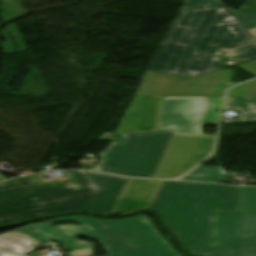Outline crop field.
<instances>
[{"mask_svg":"<svg viewBox=\"0 0 256 256\" xmlns=\"http://www.w3.org/2000/svg\"><path fill=\"white\" fill-rule=\"evenodd\" d=\"M218 40L225 49L255 38L223 5L179 10L148 70L182 77L197 76L229 67L203 42Z\"/></svg>","mask_w":256,"mask_h":256,"instance_id":"obj_1","label":"crop field"},{"mask_svg":"<svg viewBox=\"0 0 256 256\" xmlns=\"http://www.w3.org/2000/svg\"><path fill=\"white\" fill-rule=\"evenodd\" d=\"M240 186L164 181L149 210L177 239L212 237L214 210L236 211Z\"/></svg>","mask_w":256,"mask_h":256,"instance_id":"obj_2","label":"crop field"},{"mask_svg":"<svg viewBox=\"0 0 256 256\" xmlns=\"http://www.w3.org/2000/svg\"><path fill=\"white\" fill-rule=\"evenodd\" d=\"M57 221L86 224L93 232L80 226H55ZM42 242L68 236L98 239L107 250L106 256H179L160 237L145 215L118 220H102L88 216L53 219L15 230Z\"/></svg>","mask_w":256,"mask_h":256,"instance_id":"obj_3","label":"crop field"},{"mask_svg":"<svg viewBox=\"0 0 256 256\" xmlns=\"http://www.w3.org/2000/svg\"><path fill=\"white\" fill-rule=\"evenodd\" d=\"M76 186L36 185L27 177L0 183V222L11 223L58 213L87 211L101 190L78 171H62Z\"/></svg>","mask_w":256,"mask_h":256,"instance_id":"obj_4","label":"crop field"},{"mask_svg":"<svg viewBox=\"0 0 256 256\" xmlns=\"http://www.w3.org/2000/svg\"><path fill=\"white\" fill-rule=\"evenodd\" d=\"M179 241L196 256H256V187L241 186L237 212L215 211L213 238Z\"/></svg>","mask_w":256,"mask_h":256,"instance_id":"obj_5","label":"crop field"},{"mask_svg":"<svg viewBox=\"0 0 256 256\" xmlns=\"http://www.w3.org/2000/svg\"><path fill=\"white\" fill-rule=\"evenodd\" d=\"M172 132L124 135L123 143H110L95 170L152 178Z\"/></svg>","mask_w":256,"mask_h":256,"instance_id":"obj_6","label":"crop field"},{"mask_svg":"<svg viewBox=\"0 0 256 256\" xmlns=\"http://www.w3.org/2000/svg\"><path fill=\"white\" fill-rule=\"evenodd\" d=\"M222 99L165 98L161 102L158 130L174 129V134L214 138L215 135L201 134V125L217 124Z\"/></svg>","mask_w":256,"mask_h":256,"instance_id":"obj_7","label":"crop field"},{"mask_svg":"<svg viewBox=\"0 0 256 256\" xmlns=\"http://www.w3.org/2000/svg\"><path fill=\"white\" fill-rule=\"evenodd\" d=\"M233 70H219L185 79L179 76L147 71L137 91L162 97L223 96Z\"/></svg>","mask_w":256,"mask_h":256,"instance_id":"obj_8","label":"crop field"},{"mask_svg":"<svg viewBox=\"0 0 256 256\" xmlns=\"http://www.w3.org/2000/svg\"><path fill=\"white\" fill-rule=\"evenodd\" d=\"M214 139L174 135L153 178L172 179L196 166L213 150Z\"/></svg>","mask_w":256,"mask_h":256,"instance_id":"obj_9","label":"crop field"},{"mask_svg":"<svg viewBox=\"0 0 256 256\" xmlns=\"http://www.w3.org/2000/svg\"><path fill=\"white\" fill-rule=\"evenodd\" d=\"M163 98L135 92L116 133L157 131L160 102Z\"/></svg>","mask_w":256,"mask_h":256,"instance_id":"obj_10","label":"crop field"},{"mask_svg":"<svg viewBox=\"0 0 256 256\" xmlns=\"http://www.w3.org/2000/svg\"><path fill=\"white\" fill-rule=\"evenodd\" d=\"M163 181L128 179L111 213H129L148 209Z\"/></svg>","mask_w":256,"mask_h":256,"instance_id":"obj_11","label":"crop field"},{"mask_svg":"<svg viewBox=\"0 0 256 256\" xmlns=\"http://www.w3.org/2000/svg\"><path fill=\"white\" fill-rule=\"evenodd\" d=\"M79 172H81L97 187L103 190L92 204V206L89 208L88 212L108 215L113 208L126 179L113 175L93 173L88 171Z\"/></svg>","mask_w":256,"mask_h":256,"instance_id":"obj_12","label":"crop field"},{"mask_svg":"<svg viewBox=\"0 0 256 256\" xmlns=\"http://www.w3.org/2000/svg\"><path fill=\"white\" fill-rule=\"evenodd\" d=\"M44 243L17 233L15 231L0 235V248L19 254H27L41 246Z\"/></svg>","mask_w":256,"mask_h":256,"instance_id":"obj_13","label":"crop field"},{"mask_svg":"<svg viewBox=\"0 0 256 256\" xmlns=\"http://www.w3.org/2000/svg\"><path fill=\"white\" fill-rule=\"evenodd\" d=\"M224 108L239 110V122L256 120V97H230L226 100Z\"/></svg>","mask_w":256,"mask_h":256,"instance_id":"obj_14","label":"crop field"},{"mask_svg":"<svg viewBox=\"0 0 256 256\" xmlns=\"http://www.w3.org/2000/svg\"><path fill=\"white\" fill-rule=\"evenodd\" d=\"M181 180L226 183L228 178L220 167L200 166Z\"/></svg>","mask_w":256,"mask_h":256,"instance_id":"obj_15","label":"crop field"},{"mask_svg":"<svg viewBox=\"0 0 256 256\" xmlns=\"http://www.w3.org/2000/svg\"><path fill=\"white\" fill-rule=\"evenodd\" d=\"M231 12L248 30L256 27V0H246L236 12Z\"/></svg>","mask_w":256,"mask_h":256,"instance_id":"obj_16","label":"crop field"},{"mask_svg":"<svg viewBox=\"0 0 256 256\" xmlns=\"http://www.w3.org/2000/svg\"><path fill=\"white\" fill-rule=\"evenodd\" d=\"M57 243L66 245L71 251L67 253V256H93L94 252L92 243L81 242L76 238H61L54 240Z\"/></svg>","mask_w":256,"mask_h":256,"instance_id":"obj_17","label":"crop field"},{"mask_svg":"<svg viewBox=\"0 0 256 256\" xmlns=\"http://www.w3.org/2000/svg\"><path fill=\"white\" fill-rule=\"evenodd\" d=\"M227 96H256V80L229 90Z\"/></svg>","mask_w":256,"mask_h":256,"instance_id":"obj_18","label":"crop field"},{"mask_svg":"<svg viewBox=\"0 0 256 256\" xmlns=\"http://www.w3.org/2000/svg\"><path fill=\"white\" fill-rule=\"evenodd\" d=\"M242 58L236 59L238 65L256 60V44L248 45L237 49Z\"/></svg>","mask_w":256,"mask_h":256,"instance_id":"obj_19","label":"crop field"},{"mask_svg":"<svg viewBox=\"0 0 256 256\" xmlns=\"http://www.w3.org/2000/svg\"><path fill=\"white\" fill-rule=\"evenodd\" d=\"M221 4V0H185L181 9Z\"/></svg>","mask_w":256,"mask_h":256,"instance_id":"obj_20","label":"crop field"},{"mask_svg":"<svg viewBox=\"0 0 256 256\" xmlns=\"http://www.w3.org/2000/svg\"><path fill=\"white\" fill-rule=\"evenodd\" d=\"M254 75H256V61L254 62H250V63H246L243 65L238 66Z\"/></svg>","mask_w":256,"mask_h":256,"instance_id":"obj_21","label":"crop field"},{"mask_svg":"<svg viewBox=\"0 0 256 256\" xmlns=\"http://www.w3.org/2000/svg\"><path fill=\"white\" fill-rule=\"evenodd\" d=\"M0 256H18V255L7 253V252H4V251H0Z\"/></svg>","mask_w":256,"mask_h":256,"instance_id":"obj_22","label":"crop field"}]
</instances>
